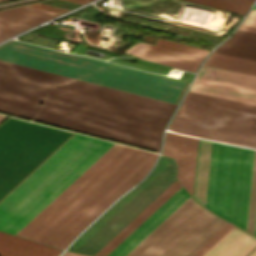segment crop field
<instances>
[{"mask_svg": "<svg viewBox=\"0 0 256 256\" xmlns=\"http://www.w3.org/2000/svg\"><path fill=\"white\" fill-rule=\"evenodd\" d=\"M175 104L0 61V112L158 152Z\"/></svg>", "mask_w": 256, "mask_h": 256, "instance_id": "obj_1", "label": "crop field"}, {"mask_svg": "<svg viewBox=\"0 0 256 256\" xmlns=\"http://www.w3.org/2000/svg\"><path fill=\"white\" fill-rule=\"evenodd\" d=\"M112 145L75 134L0 202V230L16 234Z\"/></svg>", "mask_w": 256, "mask_h": 256, "instance_id": "obj_2", "label": "crop field"}, {"mask_svg": "<svg viewBox=\"0 0 256 256\" xmlns=\"http://www.w3.org/2000/svg\"><path fill=\"white\" fill-rule=\"evenodd\" d=\"M0 60L173 103L183 83L22 43L0 50Z\"/></svg>", "mask_w": 256, "mask_h": 256, "instance_id": "obj_3", "label": "crop field"}, {"mask_svg": "<svg viewBox=\"0 0 256 256\" xmlns=\"http://www.w3.org/2000/svg\"><path fill=\"white\" fill-rule=\"evenodd\" d=\"M254 150L212 142L205 207L246 230Z\"/></svg>", "mask_w": 256, "mask_h": 256, "instance_id": "obj_4", "label": "crop field"}, {"mask_svg": "<svg viewBox=\"0 0 256 256\" xmlns=\"http://www.w3.org/2000/svg\"><path fill=\"white\" fill-rule=\"evenodd\" d=\"M226 223L190 197L127 256H191Z\"/></svg>", "mask_w": 256, "mask_h": 256, "instance_id": "obj_5", "label": "crop field"}, {"mask_svg": "<svg viewBox=\"0 0 256 256\" xmlns=\"http://www.w3.org/2000/svg\"><path fill=\"white\" fill-rule=\"evenodd\" d=\"M174 180L173 160L161 156L148 177L117 201L67 250L94 255Z\"/></svg>", "mask_w": 256, "mask_h": 256, "instance_id": "obj_6", "label": "crop field"}, {"mask_svg": "<svg viewBox=\"0 0 256 256\" xmlns=\"http://www.w3.org/2000/svg\"><path fill=\"white\" fill-rule=\"evenodd\" d=\"M170 131L256 148V115L183 100Z\"/></svg>", "mask_w": 256, "mask_h": 256, "instance_id": "obj_7", "label": "crop field"}, {"mask_svg": "<svg viewBox=\"0 0 256 256\" xmlns=\"http://www.w3.org/2000/svg\"><path fill=\"white\" fill-rule=\"evenodd\" d=\"M152 154V152L138 149L47 235H45L40 242L54 246Z\"/></svg>", "mask_w": 256, "mask_h": 256, "instance_id": "obj_8", "label": "crop field"}, {"mask_svg": "<svg viewBox=\"0 0 256 256\" xmlns=\"http://www.w3.org/2000/svg\"><path fill=\"white\" fill-rule=\"evenodd\" d=\"M189 91L256 104V76L202 65Z\"/></svg>", "mask_w": 256, "mask_h": 256, "instance_id": "obj_9", "label": "crop field"}, {"mask_svg": "<svg viewBox=\"0 0 256 256\" xmlns=\"http://www.w3.org/2000/svg\"><path fill=\"white\" fill-rule=\"evenodd\" d=\"M136 150L137 149L135 148L124 146L32 232H30L26 238L39 241Z\"/></svg>", "mask_w": 256, "mask_h": 256, "instance_id": "obj_10", "label": "crop field"}, {"mask_svg": "<svg viewBox=\"0 0 256 256\" xmlns=\"http://www.w3.org/2000/svg\"><path fill=\"white\" fill-rule=\"evenodd\" d=\"M126 52L141 59L196 72L208 51L159 38L155 46L138 43Z\"/></svg>", "mask_w": 256, "mask_h": 256, "instance_id": "obj_11", "label": "crop field"}, {"mask_svg": "<svg viewBox=\"0 0 256 256\" xmlns=\"http://www.w3.org/2000/svg\"><path fill=\"white\" fill-rule=\"evenodd\" d=\"M198 139L166 132L163 155L175 158L177 178L192 195Z\"/></svg>", "mask_w": 256, "mask_h": 256, "instance_id": "obj_12", "label": "crop field"}, {"mask_svg": "<svg viewBox=\"0 0 256 256\" xmlns=\"http://www.w3.org/2000/svg\"><path fill=\"white\" fill-rule=\"evenodd\" d=\"M189 197L181 187L108 256H126Z\"/></svg>", "mask_w": 256, "mask_h": 256, "instance_id": "obj_13", "label": "crop field"}, {"mask_svg": "<svg viewBox=\"0 0 256 256\" xmlns=\"http://www.w3.org/2000/svg\"><path fill=\"white\" fill-rule=\"evenodd\" d=\"M157 154H153L134 173H132L119 187H117L105 200H103L91 213H89L76 227H74L55 247L64 249L69 242L89 225L103 210H105L115 199L127 191L130 187L141 180L154 163Z\"/></svg>", "mask_w": 256, "mask_h": 256, "instance_id": "obj_14", "label": "crop field"}, {"mask_svg": "<svg viewBox=\"0 0 256 256\" xmlns=\"http://www.w3.org/2000/svg\"><path fill=\"white\" fill-rule=\"evenodd\" d=\"M203 256H256V238L234 226Z\"/></svg>", "mask_w": 256, "mask_h": 256, "instance_id": "obj_15", "label": "crop field"}, {"mask_svg": "<svg viewBox=\"0 0 256 256\" xmlns=\"http://www.w3.org/2000/svg\"><path fill=\"white\" fill-rule=\"evenodd\" d=\"M122 147H123L122 145L115 144L101 158L99 157L100 159H98L89 169H87L78 179H76L66 190H64L55 200H53L44 210H42L33 220H31L22 230H20L17 233V235L25 237L30 231H32L42 220H44L55 208H57L67 197H69L80 185H82L92 174H94L105 162H107Z\"/></svg>", "mask_w": 256, "mask_h": 256, "instance_id": "obj_16", "label": "crop field"}, {"mask_svg": "<svg viewBox=\"0 0 256 256\" xmlns=\"http://www.w3.org/2000/svg\"><path fill=\"white\" fill-rule=\"evenodd\" d=\"M56 15L58 14L27 6L14 7L0 11V28L20 32Z\"/></svg>", "mask_w": 256, "mask_h": 256, "instance_id": "obj_17", "label": "crop field"}, {"mask_svg": "<svg viewBox=\"0 0 256 256\" xmlns=\"http://www.w3.org/2000/svg\"><path fill=\"white\" fill-rule=\"evenodd\" d=\"M180 187L181 185L175 180L129 224H127L115 237H113L101 250H99L95 256H107Z\"/></svg>", "mask_w": 256, "mask_h": 256, "instance_id": "obj_18", "label": "crop field"}, {"mask_svg": "<svg viewBox=\"0 0 256 256\" xmlns=\"http://www.w3.org/2000/svg\"><path fill=\"white\" fill-rule=\"evenodd\" d=\"M62 250L0 232V256H58Z\"/></svg>", "mask_w": 256, "mask_h": 256, "instance_id": "obj_19", "label": "crop field"}, {"mask_svg": "<svg viewBox=\"0 0 256 256\" xmlns=\"http://www.w3.org/2000/svg\"><path fill=\"white\" fill-rule=\"evenodd\" d=\"M215 53L256 60V33L237 30Z\"/></svg>", "mask_w": 256, "mask_h": 256, "instance_id": "obj_20", "label": "crop field"}, {"mask_svg": "<svg viewBox=\"0 0 256 256\" xmlns=\"http://www.w3.org/2000/svg\"><path fill=\"white\" fill-rule=\"evenodd\" d=\"M210 146V141L201 139L194 198L203 205L205 202Z\"/></svg>", "mask_w": 256, "mask_h": 256, "instance_id": "obj_21", "label": "crop field"}, {"mask_svg": "<svg viewBox=\"0 0 256 256\" xmlns=\"http://www.w3.org/2000/svg\"><path fill=\"white\" fill-rule=\"evenodd\" d=\"M204 64L256 75V61L212 53Z\"/></svg>", "mask_w": 256, "mask_h": 256, "instance_id": "obj_22", "label": "crop field"}, {"mask_svg": "<svg viewBox=\"0 0 256 256\" xmlns=\"http://www.w3.org/2000/svg\"><path fill=\"white\" fill-rule=\"evenodd\" d=\"M185 99L256 113V105H251V104H246V103H241V102H236V101H231V100H226V99H221V98H216V97H210V96H205V95L188 92Z\"/></svg>", "mask_w": 256, "mask_h": 256, "instance_id": "obj_23", "label": "crop field"}, {"mask_svg": "<svg viewBox=\"0 0 256 256\" xmlns=\"http://www.w3.org/2000/svg\"><path fill=\"white\" fill-rule=\"evenodd\" d=\"M241 14H245L247 9L252 4V1L248 0H189Z\"/></svg>", "mask_w": 256, "mask_h": 256, "instance_id": "obj_24", "label": "crop field"}, {"mask_svg": "<svg viewBox=\"0 0 256 256\" xmlns=\"http://www.w3.org/2000/svg\"><path fill=\"white\" fill-rule=\"evenodd\" d=\"M255 211H256V150H255V156H254V166H253V176H252V186H251V196H250V206H249V216H248V226H247V231L252 234L254 230Z\"/></svg>", "mask_w": 256, "mask_h": 256, "instance_id": "obj_25", "label": "crop field"}, {"mask_svg": "<svg viewBox=\"0 0 256 256\" xmlns=\"http://www.w3.org/2000/svg\"><path fill=\"white\" fill-rule=\"evenodd\" d=\"M233 225L227 223L220 229L208 242H206L195 254L192 256H202L214 243H216Z\"/></svg>", "mask_w": 256, "mask_h": 256, "instance_id": "obj_26", "label": "crop field"}, {"mask_svg": "<svg viewBox=\"0 0 256 256\" xmlns=\"http://www.w3.org/2000/svg\"><path fill=\"white\" fill-rule=\"evenodd\" d=\"M27 6L41 8V9L50 10V11H55V12H59V13H64V12L68 11V9L45 5V4H41L38 2L29 4Z\"/></svg>", "mask_w": 256, "mask_h": 256, "instance_id": "obj_27", "label": "crop field"}, {"mask_svg": "<svg viewBox=\"0 0 256 256\" xmlns=\"http://www.w3.org/2000/svg\"><path fill=\"white\" fill-rule=\"evenodd\" d=\"M242 24L256 27V10L255 9H252V11L249 13V15L246 17V19L243 21Z\"/></svg>", "mask_w": 256, "mask_h": 256, "instance_id": "obj_28", "label": "crop field"}, {"mask_svg": "<svg viewBox=\"0 0 256 256\" xmlns=\"http://www.w3.org/2000/svg\"><path fill=\"white\" fill-rule=\"evenodd\" d=\"M14 34H16V32L0 29V41Z\"/></svg>", "mask_w": 256, "mask_h": 256, "instance_id": "obj_29", "label": "crop field"}, {"mask_svg": "<svg viewBox=\"0 0 256 256\" xmlns=\"http://www.w3.org/2000/svg\"><path fill=\"white\" fill-rule=\"evenodd\" d=\"M239 29L240 30H245V31L256 32V28L248 27V26H243V25H240Z\"/></svg>", "mask_w": 256, "mask_h": 256, "instance_id": "obj_30", "label": "crop field"}, {"mask_svg": "<svg viewBox=\"0 0 256 256\" xmlns=\"http://www.w3.org/2000/svg\"><path fill=\"white\" fill-rule=\"evenodd\" d=\"M62 256H86V255L65 251Z\"/></svg>", "mask_w": 256, "mask_h": 256, "instance_id": "obj_31", "label": "crop field"}, {"mask_svg": "<svg viewBox=\"0 0 256 256\" xmlns=\"http://www.w3.org/2000/svg\"><path fill=\"white\" fill-rule=\"evenodd\" d=\"M65 1H70V2H74V3H78V4H84V3L88 2L89 0H65Z\"/></svg>", "mask_w": 256, "mask_h": 256, "instance_id": "obj_32", "label": "crop field"}, {"mask_svg": "<svg viewBox=\"0 0 256 256\" xmlns=\"http://www.w3.org/2000/svg\"><path fill=\"white\" fill-rule=\"evenodd\" d=\"M5 118H6V116L0 115V122H2Z\"/></svg>", "mask_w": 256, "mask_h": 256, "instance_id": "obj_33", "label": "crop field"}, {"mask_svg": "<svg viewBox=\"0 0 256 256\" xmlns=\"http://www.w3.org/2000/svg\"><path fill=\"white\" fill-rule=\"evenodd\" d=\"M254 235H256V221H255V230H254Z\"/></svg>", "mask_w": 256, "mask_h": 256, "instance_id": "obj_34", "label": "crop field"}, {"mask_svg": "<svg viewBox=\"0 0 256 256\" xmlns=\"http://www.w3.org/2000/svg\"><path fill=\"white\" fill-rule=\"evenodd\" d=\"M254 8L256 9V4H255Z\"/></svg>", "mask_w": 256, "mask_h": 256, "instance_id": "obj_35", "label": "crop field"}, {"mask_svg": "<svg viewBox=\"0 0 256 256\" xmlns=\"http://www.w3.org/2000/svg\"><path fill=\"white\" fill-rule=\"evenodd\" d=\"M252 1H254V0H252Z\"/></svg>", "mask_w": 256, "mask_h": 256, "instance_id": "obj_36", "label": "crop field"}, {"mask_svg": "<svg viewBox=\"0 0 256 256\" xmlns=\"http://www.w3.org/2000/svg\"><path fill=\"white\" fill-rule=\"evenodd\" d=\"M1 1V0H0Z\"/></svg>", "mask_w": 256, "mask_h": 256, "instance_id": "obj_37", "label": "crop field"}]
</instances>
